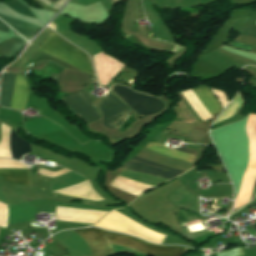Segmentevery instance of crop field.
<instances>
[{"instance_id": "obj_16", "label": "crop field", "mask_w": 256, "mask_h": 256, "mask_svg": "<svg viewBox=\"0 0 256 256\" xmlns=\"http://www.w3.org/2000/svg\"><path fill=\"white\" fill-rule=\"evenodd\" d=\"M50 1H52V2H53V1H55V0H50Z\"/></svg>"}, {"instance_id": "obj_2", "label": "crop field", "mask_w": 256, "mask_h": 256, "mask_svg": "<svg viewBox=\"0 0 256 256\" xmlns=\"http://www.w3.org/2000/svg\"><path fill=\"white\" fill-rule=\"evenodd\" d=\"M144 148L158 152V153H162V154H165V155H168L171 157H175V158H178V159H181L184 161H188L191 163H193L195 156L198 153L195 150H191V149H187V148H183V147L174 149L177 151L195 155V156H191L188 154L170 150L165 145L156 144V143H148ZM122 167L131 169V170H135V171H139V172H143V173H147V174H151V175L168 178V179H172V178L180 175L181 173H184V171H180V170H177L174 168H170V167L160 165V164H157L154 162H150V161H147L144 159H140L137 157L133 158L132 160H130L128 163H126Z\"/></svg>"}, {"instance_id": "obj_1", "label": "crop field", "mask_w": 256, "mask_h": 256, "mask_svg": "<svg viewBox=\"0 0 256 256\" xmlns=\"http://www.w3.org/2000/svg\"><path fill=\"white\" fill-rule=\"evenodd\" d=\"M74 231L77 232L88 243L93 256L113 255L114 253L110 243L134 248L155 256H180L185 250L181 248L158 246L147 243L138 238L101 230L108 238L109 243L103 233L96 228L75 229Z\"/></svg>"}, {"instance_id": "obj_8", "label": "crop field", "mask_w": 256, "mask_h": 256, "mask_svg": "<svg viewBox=\"0 0 256 256\" xmlns=\"http://www.w3.org/2000/svg\"><path fill=\"white\" fill-rule=\"evenodd\" d=\"M193 91L196 93V95L199 97V99L202 101V103L205 105V107L208 109L212 116L216 115L222 110L218 100L215 98V96L206 85L194 88ZM184 110L188 114V116L195 118L187 108Z\"/></svg>"}, {"instance_id": "obj_5", "label": "crop field", "mask_w": 256, "mask_h": 256, "mask_svg": "<svg viewBox=\"0 0 256 256\" xmlns=\"http://www.w3.org/2000/svg\"><path fill=\"white\" fill-rule=\"evenodd\" d=\"M16 75L2 74L1 90H0V104L9 106L13 94V88ZM28 89L24 76L17 75L16 84L12 100V108L24 109Z\"/></svg>"}, {"instance_id": "obj_9", "label": "crop field", "mask_w": 256, "mask_h": 256, "mask_svg": "<svg viewBox=\"0 0 256 256\" xmlns=\"http://www.w3.org/2000/svg\"><path fill=\"white\" fill-rule=\"evenodd\" d=\"M0 179L13 184L29 185L28 169H0Z\"/></svg>"}, {"instance_id": "obj_11", "label": "crop field", "mask_w": 256, "mask_h": 256, "mask_svg": "<svg viewBox=\"0 0 256 256\" xmlns=\"http://www.w3.org/2000/svg\"><path fill=\"white\" fill-rule=\"evenodd\" d=\"M24 46V42L20 38H11L0 43V56L14 57Z\"/></svg>"}, {"instance_id": "obj_7", "label": "crop field", "mask_w": 256, "mask_h": 256, "mask_svg": "<svg viewBox=\"0 0 256 256\" xmlns=\"http://www.w3.org/2000/svg\"><path fill=\"white\" fill-rule=\"evenodd\" d=\"M69 109L81 116L88 123L99 119L96 107L93 105L90 95L86 92H78L62 98Z\"/></svg>"}, {"instance_id": "obj_6", "label": "crop field", "mask_w": 256, "mask_h": 256, "mask_svg": "<svg viewBox=\"0 0 256 256\" xmlns=\"http://www.w3.org/2000/svg\"><path fill=\"white\" fill-rule=\"evenodd\" d=\"M100 108L104 115V125L114 129H119L130 114L129 110L111 95L103 99Z\"/></svg>"}, {"instance_id": "obj_15", "label": "crop field", "mask_w": 256, "mask_h": 256, "mask_svg": "<svg viewBox=\"0 0 256 256\" xmlns=\"http://www.w3.org/2000/svg\"><path fill=\"white\" fill-rule=\"evenodd\" d=\"M9 29L6 25H4L3 23L0 22V30L1 31H5L9 33Z\"/></svg>"}, {"instance_id": "obj_14", "label": "crop field", "mask_w": 256, "mask_h": 256, "mask_svg": "<svg viewBox=\"0 0 256 256\" xmlns=\"http://www.w3.org/2000/svg\"><path fill=\"white\" fill-rule=\"evenodd\" d=\"M216 254L217 256H241V255H244V252L241 249V247H239V248L227 250V251L216 253Z\"/></svg>"}, {"instance_id": "obj_3", "label": "crop field", "mask_w": 256, "mask_h": 256, "mask_svg": "<svg viewBox=\"0 0 256 256\" xmlns=\"http://www.w3.org/2000/svg\"><path fill=\"white\" fill-rule=\"evenodd\" d=\"M37 50L55 56L83 72L94 74L87 55L52 31Z\"/></svg>"}, {"instance_id": "obj_4", "label": "crop field", "mask_w": 256, "mask_h": 256, "mask_svg": "<svg viewBox=\"0 0 256 256\" xmlns=\"http://www.w3.org/2000/svg\"><path fill=\"white\" fill-rule=\"evenodd\" d=\"M112 91L142 116L157 113L164 107V103L161 100L136 93L122 85H114Z\"/></svg>"}, {"instance_id": "obj_13", "label": "crop field", "mask_w": 256, "mask_h": 256, "mask_svg": "<svg viewBox=\"0 0 256 256\" xmlns=\"http://www.w3.org/2000/svg\"><path fill=\"white\" fill-rule=\"evenodd\" d=\"M5 4L17 13L35 18V16L31 13V11L17 0H10Z\"/></svg>"}, {"instance_id": "obj_12", "label": "crop field", "mask_w": 256, "mask_h": 256, "mask_svg": "<svg viewBox=\"0 0 256 256\" xmlns=\"http://www.w3.org/2000/svg\"><path fill=\"white\" fill-rule=\"evenodd\" d=\"M0 17L3 20H5L8 24H10L13 28H15L19 33L25 35L28 38H32L36 34V32L40 29L39 27L17 21L8 16L0 15Z\"/></svg>"}, {"instance_id": "obj_10", "label": "crop field", "mask_w": 256, "mask_h": 256, "mask_svg": "<svg viewBox=\"0 0 256 256\" xmlns=\"http://www.w3.org/2000/svg\"><path fill=\"white\" fill-rule=\"evenodd\" d=\"M11 153L14 159L22 158L24 154L31 152L30 145L20 139L17 134L11 131L10 135Z\"/></svg>"}]
</instances>
